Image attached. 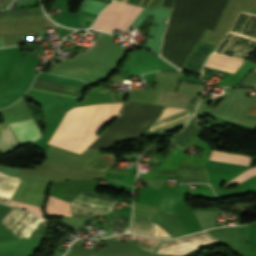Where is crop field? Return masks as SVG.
Returning a JSON list of instances; mask_svg holds the SVG:
<instances>
[{"label":"crop field","mask_w":256,"mask_h":256,"mask_svg":"<svg viewBox=\"0 0 256 256\" xmlns=\"http://www.w3.org/2000/svg\"><path fill=\"white\" fill-rule=\"evenodd\" d=\"M157 175H175L181 183L205 182L209 183L206 169L180 164L177 171H158Z\"/></svg>","instance_id":"obj_3"},{"label":"crop field","mask_w":256,"mask_h":256,"mask_svg":"<svg viewBox=\"0 0 256 256\" xmlns=\"http://www.w3.org/2000/svg\"><path fill=\"white\" fill-rule=\"evenodd\" d=\"M19 146L20 144L12 134L8 124H4L0 132V153H7Z\"/></svg>","instance_id":"obj_7"},{"label":"crop field","mask_w":256,"mask_h":256,"mask_svg":"<svg viewBox=\"0 0 256 256\" xmlns=\"http://www.w3.org/2000/svg\"><path fill=\"white\" fill-rule=\"evenodd\" d=\"M241 63V61L213 55L207 66L234 73Z\"/></svg>","instance_id":"obj_8"},{"label":"crop field","mask_w":256,"mask_h":256,"mask_svg":"<svg viewBox=\"0 0 256 256\" xmlns=\"http://www.w3.org/2000/svg\"><path fill=\"white\" fill-rule=\"evenodd\" d=\"M253 175H256V167L246 170L245 172H243L242 174H240L239 176L234 178L232 181H230L226 185L229 186V185L235 184V183L239 184L241 181H243Z\"/></svg>","instance_id":"obj_11"},{"label":"crop field","mask_w":256,"mask_h":256,"mask_svg":"<svg viewBox=\"0 0 256 256\" xmlns=\"http://www.w3.org/2000/svg\"><path fill=\"white\" fill-rule=\"evenodd\" d=\"M210 159L248 165L250 158L240 154L213 151Z\"/></svg>","instance_id":"obj_10"},{"label":"crop field","mask_w":256,"mask_h":256,"mask_svg":"<svg viewBox=\"0 0 256 256\" xmlns=\"http://www.w3.org/2000/svg\"><path fill=\"white\" fill-rule=\"evenodd\" d=\"M142 9V7L114 1L99 15L92 28L111 32L114 27H117L125 31Z\"/></svg>","instance_id":"obj_2"},{"label":"crop field","mask_w":256,"mask_h":256,"mask_svg":"<svg viewBox=\"0 0 256 256\" xmlns=\"http://www.w3.org/2000/svg\"><path fill=\"white\" fill-rule=\"evenodd\" d=\"M157 207L159 210L178 213L181 211L179 194L173 192L162 191L159 198Z\"/></svg>","instance_id":"obj_5"},{"label":"crop field","mask_w":256,"mask_h":256,"mask_svg":"<svg viewBox=\"0 0 256 256\" xmlns=\"http://www.w3.org/2000/svg\"><path fill=\"white\" fill-rule=\"evenodd\" d=\"M189 95L160 91L155 104L183 108Z\"/></svg>","instance_id":"obj_6"},{"label":"crop field","mask_w":256,"mask_h":256,"mask_svg":"<svg viewBox=\"0 0 256 256\" xmlns=\"http://www.w3.org/2000/svg\"><path fill=\"white\" fill-rule=\"evenodd\" d=\"M10 204L11 205H15V206H19V207H23V208H26V209H29V210L35 212L36 214H38L39 216L43 217V215L41 213V208L40 207L18 203V202H15L13 200L11 201Z\"/></svg>","instance_id":"obj_13"},{"label":"crop field","mask_w":256,"mask_h":256,"mask_svg":"<svg viewBox=\"0 0 256 256\" xmlns=\"http://www.w3.org/2000/svg\"><path fill=\"white\" fill-rule=\"evenodd\" d=\"M123 103H100L67 111L49 144L81 153L96 138L95 133L117 116Z\"/></svg>","instance_id":"obj_1"},{"label":"crop field","mask_w":256,"mask_h":256,"mask_svg":"<svg viewBox=\"0 0 256 256\" xmlns=\"http://www.w3.org/2000/svg\"><path fill=\"white\" fill-rule=\"evenodd\" d=\"M248 240L250 245V250H256V222L249 225V232H248Z\"/></svg>","instance_id":"obj_12"},{"label":"crop field","mask_w":256,"mask_h":256,"mask_svg":"<svg viewBox=\"0 0 256 256\" xmlns=\"http://www.w3.org/2000/svg\"><path fill=\"white\" fill-rule=\"evenodd\" d=\"M21 145L33 142L40 138V133L33 121L27 120L10 124Z\"/></svg>","instance_id":"obj_4"},{"label":"crop field","mask_w":256,"mask_h":256,"mask_svg":"<svg viewBox=\"0 0 256 256\" xmlns=\"http://www.w3.org/2000/svg\"><path fill=\"white\" fill-rule=\"evenodd\" d=\"M10 206L0 204V220L4 217V215L10 210Z\"/></svg>","instance_id":"obj_14"},{"label":"crop field","mask_w":256,"mask_h":256,"mask_svg":"<svg viewBox=\"0 0 256 256\" xmlns=\"http://www.w3.org/2000/svg\"><path fill=\"white\" fill-rule=\"evenodd\" d=\"M249 113L256 114V107L252 106Z\"/></svg>","instance_id":"obj_15"},{"label":"crop field","mask_w":256,"mask_h":256,"mask_svg":"<svg viewBox=\"0 0 256 256\" xmlns=\"http://www.w3.org/2000/svg\"><path fill=\"white\" fill-rule=\"evenodd\" d=\"M46 211L48 214L71 216L70 204L51 196Z\"/></svg>","instance_id":"obj_9"}]
</instances>
